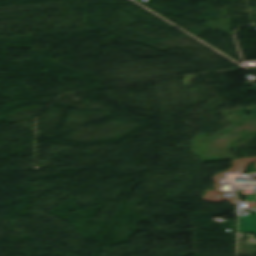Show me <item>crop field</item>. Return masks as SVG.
I'll return each mask as SVG.
<instances>
[{
  "instance_id": "crop-field-1",
  "label": "crop field",
  "mask_w": 256,
  "mask_h": 256,
  "mask_svg": "<svg viewBox=\"0 0 256 256\" xmlns=\"http://www.w3.org/2000/svg\"><path fill=\"white\" fill-rule=\"evenodd\" d=\"M240 233H256V212L239 216Z\"/></svg>"
}]
</instances>
